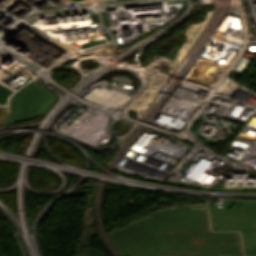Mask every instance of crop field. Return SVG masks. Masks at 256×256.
Returning <instances> with one entry per match:
<instances>
[{
	"label": "crop field",
	"instance_id": "1",
	"mask_svg": "<svg viewBox=\"0 0 256 256\" xmlns=\"http://www.w3.org/2000/svg\"><path fill=\"white\" fill-rule=\"evenodd\" d=\"M106 235L121 256H243L239 232H211L206 204L165 208Z\"/></svg>",
	"mask_w": 256,
	"mask_h": 256
},
{
	"label": "crop field",
	"instance_id": "2",
	"mask_svg": "<svg viewBox=\"0 0 256 256\" xmlns=\"http://www.w3.org/2000/svg\"><path fill=\"white\" fill-rule=\"evenodd\" d=\"M210 204L213 231H242L245 255L256 254V201H237L234 210H219Z\"/></svg>",
	"mask_w": 256,
	"mask_h": 256
},
{
	"label": "crop field",
	"instance_id": "4",
	"mask_svg": "<svg viewBox=\"0 0 256 256\" xmlns=\"http://www.w3.org/2000/svg\"><path fill=\"white\" fill-rule=\"evenodd\" d=\"M92 250L90 251V256H108L94 248H91Z\"/></svg>",
	"mask_w": 256,
	"mask_h": 256
},
{
	"label": "crop field",
	"instance_id": "3",
	"mask_svg": "<svg viewBox=\"0 0 256 256\" xmlns=\"http://www.w3.org/2000/svg\"><path fill=\"white\" fill-rule=\"evenodd\" d=\"M57 95L36 81L21 88L13 99L7 123L33 119L45 114L56 100Z\"/></svg>",
	"mask_w": 256,
	"mask_h": 256
},
{
	"label": "crop field",
	"instance_id": "5",
	"mask_svg": "<svg viewBox=\"0 0 256 256\" xmlns=\"http://www.w3.org/2000/svg\"><path fill=\"white\" fill-rule=\"evenodd\" d=\"M7 114V110L0 111V125L5 122Z\"/></svg>",
	"mask_w": 256,
	"mask_h": 256
}]
</instances>
